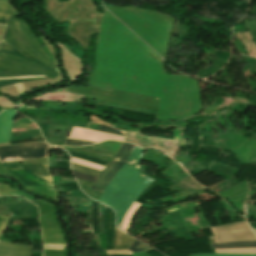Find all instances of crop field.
I'll return each instance as SVG.
<instances>
[{
    "label": "crop field",
    "instance_id": "8a807250",
    "mask_svg": "<svg viewBox=\"0 0 256 256\" xmlns=\"http://www.w3.org/2000/svg\"><path fill=\"white\" fill-rule=\"evenodd\" d=\"M145 150L135 146L131 156L99 198V201L110 206L116 212L118 227L138 195L157 179L139 169Z\"/></svg>",
    "mask_w": 256,
    "mask_h": 256
},
{
    "label": "crop field",
    "instance_id": "ac0d7876",
    "mask_svg": "<svg viewBox=\"0 0 256 256\" xmlns=\"http://www.w3.org/2000/svg\"><path fill=\"white\" fill-rule=\"evenodd\" d=\"M2 41L55 69L51 59L37 41L27 23L23 19H16L15 10L12 17L9 19ZM0 70L35 72L51 78L59 75L56 69L52 70L21 58L2 53H0Z\"/></svg>",
    "mask_w": 256,
    "mask_h": 256
},
{
    "label": "crop field",
    "instance_id": "34b2d1b8",
    "mask_svg": "<svg viewBox=\"0 0 256 256\" xmlns=\"http://www.w3.org/2000/svg\"><path fill=\"white\" fill-rule=\"evenodd\" d=\"M3 167L22 185H51L52 179L46 165L34 163L4 164Z\"/></svg>",
    "mask_w": 256,
    "mask_h": 256
},
{
    "label": "crop field",
    "instance_id": "412701ff",
    "mask_svg": "<svg viewBox=\"0 0 256 256\" xmlns=\"http://www.w3.org/2000/svg\"><path fill=\"white\" fill-rule=\"evenodd\" d=\"M51 146L45 142H32L0 147V162H12L46 157L47 148Z\"/></svg>",
    "mask_w": 256,
    "mask_h": 256
},
{
    "label": "crop field",
    "instance_id": "f4fd0767",
    "mask_svg": "<svg viewBox=\"0 0 256 256\" xmlns=\"http://www.w3.org/2000/svg\"><path fill=\"white\" fill-rule=\"evenodd\" d=\"M216 235V244L233 241L256 240V236L249 228L247 222L228 224L212 228Z\"/></svg>",
    "mask_w": 256,
    "mask_h": 256
},
{
    "label": "crop field",
    "instance_id": "dd49c442",
    "mask_svg": "<svg viewBox=\"0 0 256 256\" xmlns=\"http://www.w3.org/2000/svg\"><path fill=\"white\" fill-rule=\"evenodd\" d=\"M134 145L130 143H123L118 154L113 158V160L106 166V168L101 172L99 177L94 182L92 189L103 191L110 180L114 177L117 171L124 164L126 159L130 156Z\"/></svg>",
    "mask_w": 256,
    "mask_h": 256
},
{
    "label": "crop field",
    "instance_id": "e52e79f7",
    "mask_svg": "<svg viewBox=\"0 0 256 256\" xmlns=\"http://www.w3.org/2000/svg\"><path fill=\"white\" fill-rule=\"evenodd\" d=\"M68 138L85 140V141H93V142H99L101 140H106V139H117V140L123 141L124 139V137L114 136V135L106 134L103 132L84 129V128H78V127H75L72 130Z\"/></svg>",
    "mask_w": 256,
    "mask_h": 256
},
{
    "label": "crop field",
    "instance_id": "d8731c3e",
    "mask_svg": "<svg viewBox=\"0 0 256 256\" xmlns=\"http://www.w3.org/2000/svg\"><path fill=\"white\" fill-rule=\"evenodd\" d=\"M32 246L0 241V256H31Z\"/></svg>",
    "mask_w": 256,
    "mask_h": 256
},
{
    "label": "crop field",
    "instance_id": "5a996713",
    "mask_svg": "<svg viewBox=\"0 0 256 256\" xmlns=\"http://www.w3.org/2000/svg\"><path fill=\"white\" fill-rule=\"evenodd\" d=\"M14 114V110H7L0 114V143L10 142V129Z\"/></svg>",
    "mask_w": 256,
    "mask_h": 256
},
{
    "label": "crop field",
    "instance_id": "3316defc",
    "mask_svg": "<svg viewBox=\"0 0 256 256\" xmlns=\"http://www.w3.org/2000/svg\"><path fill=\"white\" fill-rule=\"evenodd\" d=\"M133 240L134 238L120 232L117 228H115L113 250L127 249Z\"/></svg>",
    "mask_w": 256,
    "mask_h": 256
},
{
    "label": "crop field",
    "instance_id": "28ad6ade",
    "mask_svg": "<svg viewBox=\"0 0 256 256\" xmlns=\"http://www.w3.org/2000/svg\"><path fill=\"white\" fill-rule=\"evenodd\" d=\"M0 52L9 53L11 55H15V56H19L21 58H24L28 61L35 62V63H38V64H42L41 62L26 56L24 53H21V52L17 51L16 49L12 48L11 46H9V45H7L6 43H3V42L0 43ZM42 65H44V64H42Z\"/></svg>",
    "mask_w": 256,
    "mask_h": 256
},
{
    "label": "crop field",
    "instance_id": "d1516ede",
    "mask_svg": "<svg viewBox=\"0 0 256 256\" xmlns=\"http://www.w3.org/2000/svg\"><path fill=\"white\" fill-rule=\"evenodd\" d=\"M139 206H140V204L134 202V204L131 206L129 212L124 217V220H123V223H122L120 229H122L123 231L127 232V228H128L129 222H130L133 214L139 208Z\"/></svg>",
    "mask_w": 256,
    "mask_h": 256
},
{
    "label": "crop field",
    "instance_id": "22f410ed",
    "mask_svg": "<svg viewBox=\"0 0 256 256\" xmlns=\"http://www.w3.org/2000/svg\"><path fill=\"white\" fill-rule=\"evenodd\" d=\"M211 248H225V247H256V241L252 242H235L229 244L210 245Z\"/></svg>",
    "mask_w": 256,
    "mask_h": 256
},
{
    "label": "crop field",
    "instance_id": "cbeb9de0",
    "mask_svg": "<svg viewBox=\"0 0 256 256\" xmlns=\"http://www.w3.org/2000/svg\"><path fill=\"white\" fill-rule=\"evenodd\" d=\"M215 253H256V248L215 249Z\"/></svg>",
    "mask_w": 256,
    "mask_h": 256
},
{
    "label": "crop field",
    "instance_id": "5142ce71",
    "mask_svg": "<svg viewBox=\"0 0 256 256\" xmlns=\"http://www.w3.org/2000/svg\"><path fill=\"white\" fill-rule=\"evenodd\" d=\"M128 250L132 252H143L151 250V248L135 239L133 243L129 246Z\"/></svg>",
    "mask_w": 256,
    "mask_h": 256
},
{
    "label": "crop field",
    "instance_id": "d9b57169",
    "mask_svg": "<svg viewBox=\"0 0 256 256\" xmlns=\"http://www.w3.org/2000/svg\"><path fill=\"white\" fill-rule=\"evenodd\" d=\"M68 152L73 157L82 158V159H85V160H88V161H92V162H95V163H98V164H101V165H104V166H106L108 164V162H106L104 160H101V159H98V158L86 156V155L79 154V153H76V152H71V151H68Z\"/></svg>",
    "mask_w": 256,
    "mask_h": 256
},
{
    "label": "crop field",
    "instance_id": "733c2abd",
    "mask_svg": "<svg viewBox=\"0 0 256 256\" xmlns=\"http://www.w3.org/2000/svg\"><path fill=\"white\" fill-rule=\"evenodd\" d=\"M72 170L84 172V173H87V174H90V175H93V176H96V177L100 173V171H97L95 169L84 167V166H80V165H76V164H72Z\"/></svg>",
    "mask_w": 256,
    "mask_h": 256
},
{
    "label": "crop field",
    "instance_id": "4a817a6b",
    "mask_svg": "<svg viewBox=\"0 0 256 256\" xmlns=\"http://www.w3.org/2000/svg\"><path fill=\"white\" fill-rule=\"evenodd\" d=\"M71 162L81 164V165H85V166H89V167L95 168V169L100 170V171H102L103 168H104V166L93 164V163L86 162V161H82V160L75 159V158H72V157H71Z\"/></svg>",
    "mask_w": 256,
    "mask_h": 256
},
{
    "label": "crop field",
    "instance_id": "bc2a9ffb",
    "mask_svg": "<svg viewBox=\"0 0 256 256\" xmlns=\"http://www.w3.org/2000/svg\"><path fill=\"white\" fill-rule=\"evenodd\" d=\"M99 131H103V132H106V133H110V134H114V135H120V136H124V134L112 129V128H109V127H105V126H99Z\"/></svg>",
    "mask_w": 256,
    "mask_h": 256
},
{
    "label": "crop field",
    "instance_id": "214f88e0",
    "mask_svg": "<svg viewBox=\"0 0 256 256\" xmlns=\"http://www.w3.org/2000/svg\"><path fill=\"white\" fill-rule=\"evenodd\" d=\"M73 174L75 175L76 178L87 180V181H91V182H94V180L96 179V177H92V176L81 174V173H77V172H73Z\"/></svg>",
    "mask_w": 256,
    "mask_h": 256
},
{
    "label": "crop field",
    "instance_id": "92a150f3",
    "mask_svg": "<svg viewBox=\"0 0 256 256\" xmlns=\"http://www.w3.org/2000/svg\"><path fill=\"white\" fill-rule=\"evenodd\" d=\"M191 256H256V255H238V254H190Z\"/></svg>",
    "mask_w": 256,
    "mask_h": 256
},
{
    "label": "crop field",
    "instance_id": "dafd665d",
    "mask_svg": "<svg viewBox=\"0 0 256 256\" xmlns=\"http://www.w3.org/2000/svg\"><path fill=\"white\" fill-rule=\"evenodd\" d=\"M22 82V79H10V80H0V87L4 85H10Z\"/></svg>",
    "mask_w": 256,
    "mask_h": 256
},
{
    "label": "crop field",
    "instance_id": "00972430",
    "mask_svg": "<svg viewBox=\"0 0 256 256\" xmlns=\"http://www.w3.org/2000/svg\"><path fill=\"white\" fill-rule=\"evenodd\" d=\"M64 143L68 144H77V145H89V144H94L93 142H85V141H78V140H70L66 139Z\"/></svg>",
    "mask_w": 256,
    "mask_h": 256
},
{
    "label": "crop field",
    "instance_id": "a9b5d70f",
    "mask_svg": "<svg viewBox=\"0 0 256 256\" xmlns=\"http://www.w3.org/2000/svg\"><path fill=\"white\" fill-rule=\"evenodd\" d=\"M10 12H11V7L10 6L0 4V13H4V14L9 15Z\"/></svg>",
    "mask_w": 256,
    "mask_h": 256
},
{
    "label": "crop field",
    "instance_id": "4177f3b9",
    "mask_svg": "<svg viewBox=\"0 0 256 256\" xmlns=\"http://www.w3.org/2000/svg\"><path fill=\"white\" fill-rule=\"evenodd\" d=\"M8 219H9V217H1L0 216V234H1L2 230L4 229Z\"/></svg>",
    "mask_w": 256,
    "mask_h": 256
},
{
    "label": "crop field",
    "instance_id": "730fd06b",
    "mask_svg": "<svg viewBox=\"0 0 256 256\" xmlns=\"http://www.w3.org/2000/svg\"><path fill=\"white\" fill-rule=\"evenodd\" d=\"M7 18H8L7 15H1L0 14V22L6 23L7 22Z\"/></svg>",
    "mask_w": 256,
    "mask_h": 256
},
{
    "label": "crop field",
    "instance_id": "eef30255",
    "mask_svg": "<svg viewBox=\"0 0 256 256\" xmlns=\"http://www.w3.org/2000/svg\"><path fill=\"white\" fill-rule=\"evenodd\" d=\"M0 3L10 5V3H9V1H8V0H0ZM10 6H11V5H10Z\"/></svg>",
    "mask_w": 256,
    "mask_h": 256
},
{
    "label": "crop field",
    "instance_id": "ae1a2a85",
    "mask_svg": "<svg viewBox=\"0 0 256 256\" xmlns=\"http://www.w3.org/2000/svg\"><path fill=\"white\" fill-rule=\"evenodd\" d=\"M250 225H251L252 229H256V223H251Z\"/></svg>",
    "mask_w": 256,
    "mask_h": 256
},
{
    "label": "crop field",
    "instance_id": "d3111659",
    "mask_svg": "<svg viewBox=\"0 0 256 256\" xmlns=\"http://www.w3.org/2000/svg\"><path fill=\"white\" fill-rule=\"evenodd\" d=\"M254 232L256 233V230H254Z\"/></svg>",
    "mask_w": 256,
    "mask_h": 256
}]
</instances>
